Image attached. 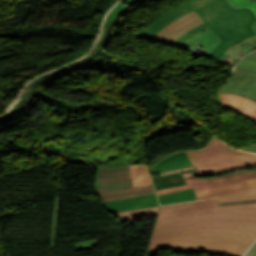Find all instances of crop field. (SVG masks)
Here are the masks:
<instances>
[{
    "label": "crop field",
    "instance_id": "obj_14",
    "mask_svg": "<svg viewBox=\"0 0 256 256\" xmlns=\"http://www.w3.org/2000/svg\"><path fill=\"white\" fill-rule=\"evenodd\" d=\"M158 207L146 208V209H139L133 211H126V212H118L112 213L120 220L126 222L131 220H139V219H147L156 217Z\"/></svg>",
    "mask_w": 256,
    "mask_h": 256
},
{
    "label": "crop field",
    "instance_id": "obj_5",
    "mask_svg": "<svg viewBox=\"0 0 256 256\" xmlns=\"http://www.w3.org/2000/svg\"><path fill=\"white\" fill-rule=\"evenodd\" d=\"M252 179H256V170L241 171L237 173L226 174V175L210 177V178L192 177V178L183 179L186 185L159 190L157 191V194L160 195V194L187 189L191 187H194V190L196 192V191H200V190H204L212 187L228 185V184H233V183H237L245 180H252Z\"/></svg>",
    "mask_w": 256,
    "mask_h": 256
},
{
    "label": "crop field",
    "instance_id": "obj_26",
    "mask_svg": "<svg viewBox=\"0 0 256 256\" xmlns=\"http://www.w3.org/2000/svg\"><path fill=\"white\" fill-rule=\"evenodd\" d=\"M252 30L254 31V33L256 34V21L253 23L252 25Z\"/></svg>",
    "mask_w": 256,
    "mask_h": 256
},
{
    "label": "crop field",
    "instance_id": "obj_15",
    "mask_svg": "<svg viewBox=\"0 0 256 256\" xmlns=\"http://www.w3.org/2000/svg\"><path fill=\"white\" fill-rule=\"evenodd\" d=\"M133 187L152 185L146 164L130 165Z\"/></svg>",
    "mask_w": 256,
    "mask_h": 256
},
{
    "label": "crop field",
    "instance_id": "obj_12",
    "mask_svg": "<svg viewBox=\"0 0 256 256\" xmlns=\"http://www.w3.org/2000/svg\"><path fill=\"white\" fill-rule=\"evenodd\" d=\"M218 102L226 108L243 113L244 116L256 122V101L235 94L218 93Z\"/></svg>",
    "mask_w": 256,
    "mask_h": 256
},
{
    "label": "crop field",
    "instance_id": "obj_8",
    "mask_svg": "<svg viewBox=\"0 0 256 256\" xmlns=\"http://www.w3.org/2000/svg\"><path fill=\"white\" fill-rule=\"evenodd\" d=\"M203 23L197 13L194 11L175 22L167 25L160 33H158L152 41L169 45L177 37L186 31L194 28L198 24Z\"/></svg>",
    "mask_w": 256,
    "mask_h": 256
},
{
    "label": "crop field",
    "instance_id": "obj_10",
    "mask_svg": "<svg viewBox=\"0 0 256 256\" xmlns=\"http://www.w3.org/2000/svg\"><path fill=\"white\" fill-rule=\"evenodd\" d=\"M243 164H256V154L248 153L245 155L220 160L208 164L194 166L197 172L181 175L183 178L198 176L201 174L218 171L230 167H235Z\"/></svg>",
    "mask_w": 256,
    "mask_h": 256
},
{
    "label": "crop field",
    "instance_id": "obj_4",
    "mask_svg": "<svg viewBox=\"0 0 256 256\" xmlns=\"http://www.w3.org/2000/svg\"><path fill=\"white\" fill-rule=\"evenodd\" d=\"M132 188L129 165L105 167L97 165L95 193Z\"/></svg>",
    "mask_w": 256,
    "mask_h": 256
},
{
    "label": "crop field",
    "instance_id": "obj_7",
    "mask_svg": "<svg viewBox=\"0 0 256 256\" xmlns=\"http://www.w3.org/2000/svg\"><path fill=\"white\" fill-rule=\"evenodd\" d=\"M186 153L189 156L194 166L198 164L208 163V162L244 154L247 152L233 149L214 137L211 140L208 147L200 151H186Z\"/></svg>",
    "mask_w": 256,
    "mask_h": 256
},
{
    "label": "crop field",
    "instance_id": "obj_25",
    "mask_svg": "<svg viewBox=\"0 0 256 256\" xmlns=\"http://www.w3.org/2000/svg\"><path fill=\"white\" fill-rule=\"evenodd\" d=\"M245 58H248V59L256 61V51L253 52L252 54L246 56Z\"/></svg>",
    "mask_w": 256,
    "mask_h": 256
},
{
    "label": "crop field",
    "instance_id": "obj_16",
    "mask_svg": "<svg viewBox=\"0 0 256 256\" xmlns=\"http://www.w3.org/2000/svg\"><path fill=\"white\" fill-rule=\"evenodd\" d=\"M161 205L197 200L193 188L158 196Z\"/></svg>",
    "mask_w": 256,
    "mask_h": 256
},
{
    "label": "crop field",
    "instance_id": "obj_20",
    "mask_svg": "<svg viewBox=\"0 0 256 256\" xmlns=\"http://www.w3.org/2000/svg\"><path fill=\"white\" fill-rule=\"evenodd\" d=\"M190 165H192L191 162H187V163L169 165V166H165V167H161V168H155V169H152L151 174L159 172V171L176 169V168L186 167V166H190Z\"/></svg>",
    "mask_w": 256,
    "mask_h": 256
},
{
    "label": "crop field",
    "instance_id": "obj_21",
    "mask_svg": "<svg viewBox=\"0 0 256 256\" xmlns=\"http://www.w3.org/2000/svg\"><path fill=\"white\" fill-rule=\"evenodd\" d=\"M233 5L236 7H241V6H249L251 7L255 13H256V3H251L248 2V0H229Z\"/></svg>",
    "mask_w": 256,
    "mask_h": 256
},
{
    "label": "crop field",
    "instance_id": "obj_18",
    "mask_svg": "<svg viewBox=\"0 0 256 256\" xmlns=\"http://www.w3.org/2000/svg\"><path fill=\"white\" fill-rule=\"evenodd\" d=\"M187 161H189V159L185 151H182L163 159L155 167H160V166L173 164V163L187 162Z\"/></svg>",
    "mask_w": 256,
    "mask_h": 256
},
{
    "label": "crop field",
    "instance_id": "obj_17",
    "mask_svg": "<svg viewBox=\"0 0 256 256\" xmlns=\"http://www.w3.org/2000/svg\"><path fill=\"white\" fill-rule=\"evenodd\" d=\"M123 1H126L128 4H131L133 2L139 1V0H120L119 3L112 8V10L108 13L103 26L101 30V34L99 39L109 30L111 25L115 23L118 14L124 9ZM98 39V40H99Z\"/></svg>",
    "mask_w": 256,
    "mask_h": 256
},
{
    "label": "crop field",
    "instance_id": "obj_1",
    "mask_svg": "<svg viewBox=\"0 0 256 256\" xmlns=\"http://www.w3.org/2000/svg\"><path fill=\"white\" fill-rule=\"evenodd\" d=\"M193 10L205 23L177 38L171 46L179 47L191 36L208 27L222 40L209 56L217 60L220 54L235 42L254 34L251 25L256 15L251 9H236L227 0H188L158 17L139 37L151 40L167 24Z\"/></svg>",
    "mask_w": 256,
    "mask_h": 256
},
{
    "label": "crop field",
    "instance_id": "obj_11",
    "mask_svg": "<svg viewBox=\"0 0 256 256\" xmlns=\"http://www.w3.org/2000/svg\"><path fill=\"white\" fill-rule=\"evenodd\" d=\"M256 193V180L196 192L197 199L215 198L227 195Z\"/></svg>",
    "mask_w": 256,
    "mask_h": 256
},
{
    "label": "crop field",
    "instance_id": "obj_19",
    "mask_svg": "<svg viewBox=\"0 0 256 256\" xmlns=\"http://www.w3.org/2000/svg\"><path fill=\"white\" fill-rule=\"evenodd\" d=\"M237 67L256 72V62H253L245 58H242L239 61Z\"/></svg>",
    "mask_w": 256,
    "mask_h": 256
},
{
    "label": "crop field",
    "instance_id": "obj_24",
    "mask_svg": "<svg viewBox=\"0 0 256 256\" xmlns=\"http://www.w3.org/2000/svg\"><path fill=\"white\" fill-rule=\"evenodd\" d=\"M242 150H247V151L256 152V144L251 145V146H249V147L242 148Z\"/></svg>",
    "mask_w": 256,
    "mask_h": 256
},
{
    "label": "crop field",
    "instance_id": "obj_6",
    "mask_svg": "<svg viewBox=\"0 0 256 256\" xmlns=\"http://www.w3.org/2000/svg\"><path fill=\"white\" fill-rule=\"evenodd\" d=\"M218 92L235 93L256 100V73L234 69Z\"/></svg>",
    "mask_w": 256,
    "mask_h": 256
},
{
    "label": "crop field",
    "instance_id": "obj_9",
    "mask_svg": "<svg viewBox=\"0 0 256 256\" xmlns=\"http://www.w3.org/2000/svg\"><path fill=\"white\" fill-rule=\"evenodd\" d=\"M102 205L106 208L108 212H118V211L152 207V206H157L159 204L157 201L156 194H151V195H142V196L106 201V202H102Z\"/></svg>",
    "mask_w": 256,
    "mask_h": 256
},
{
    "label": "crop field",
    "instance_id": "obj_22",
    "mask_svg": "<svg viewBox=\"0 0 256 256\" xmlns=\"http://www.w3.org/2000/svg\"><path fill=\"white\" fill-rule=\"evenodd\" d=\"M246 203H256V199L245 200V201H235V202H221V203H219V206L230 205V204H246Z\"/></svg>",
    "mask_w": 256,
    "mask_h": 256
},
{
    "label": "crop field",
    "instance_id": "obj_2",
    "mask_svg": "<svg viewBox=\"0 0 256 256\" xmlns=\"http://www.w3.org/2000/svg\"><path fill=\"white\" fill-rule=\"evenodd\" d=\"M256 198V194L161 206L153 234L198 229H231L256 232V204L218 207V202Z\"/></svg>",
    "mask_w": 256,
    "mask_h": 256
},
{
    "label": "crop field",
    "instance_id": "obj_3",
    "mask_svg": "<svg viewBox=\"0 0 256 256\" xmlns=\"http://www.w3.org/2000/svg\"><path fill=\"white\" fill-rule=\"evenodd\" d=\"M255 238V232L231 230L184 231L151 237L148 249L157 247L162 250L202 248V252L241 256Z\"/></svg>",
    "mask_w": 256,
    "mask_h": 256
},
{
    "label": "crop field",
    "instance_id": "obj_27",
    "mask_svg": "<svg viewBox=\"0 0 256 256\" xmlns=\"http://www.w3.org/2000/svg\"><path fill=\"white\" fill-rule=\"evenodd\" d=\"M249 1L256 2V0H249Z\"/></svg>",
    "mask_w": 256,
    "mask_h": 256
},
{
    "label": "crop field",
    "instance_id": "obj_23",
    "mask_svg": "<svg viewBox=\"0 0 256 256\" xmlns=\"http://www.w3.org/2000/svg\"><path fill=\"white\" fill-rule=\"evenodd\" d=\"M245 256H256V243Z\"/></svg>",
    "mask_w": 256,
    "mask_h": 256
},
{
    "label": "crop field",
    "instance_id": "obj_13",
    "mask_svg": "<svg viewBox=\"0 0 256 256\" xmlns=\"http://www.w3.org/2000/svg\"><path fill=\"white\" fill-rule=\"evenodd\" d=\"M150 193H155L153 186L101 193L98 195L101 201H105V200L118 199V198H124V197H130V196H136V195H142V194H150Z\"/></svg>",
    "mask_w": 256,
    "mask_h": 256
}]
</instances>
